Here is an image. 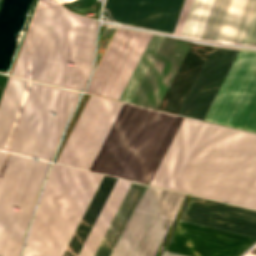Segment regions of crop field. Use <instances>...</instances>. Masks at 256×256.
<instances>
[{
    "instance_id": "obj_16",
    "label": "crop field",
    "mask_w": 256,
    "mask_h": 256,
    "mask_svg": "<svg viewBox=\"0 0 256 256\" xmlns=\"http://www.w3.org/2000/svg\"><path fill=\"white\" fill-rule=\"evenodd\" d=\"M210 49L211 47L191 44L159 107L160 110L178 114Z\"/></svg>"
},
{
    "instance_id": "obj_14",
    "label": "crop field",
    "mask_w": 256,
    "mask_h": 256,
    "mask_svg": "<svg viewBox=\"0 0 256 256\" xmlns=\"http://www.w3.org/2000/svg\"><path fill=\"white\" fill-rule=\"evenodd\" d=\"M182 222L256 238V211L192 197Z\"/></svg>"
},
{
    "instance_id": "obj_12",
    "label": "crop field",
    "mask_w": 256,
    "mask_h": 256,
    "mask_svg": "<svg viewBox=\"0 0 256 256\" xmlns=\"http://www.w3.org/2000/svg\"><path fill=\"white\" fill-rule=\"evenodd\" d=\"M131 182L118 179L79 256H94ZM145 186L132 183L95 256H109Z\"/></svg>"
},
{
    "instance_id": "obj_4",
    "label": "crop field",
    "mask_w": 256,
    "mask_h": 256,
    "mask_svg": "<svg viewBox=\"0 0 256 256\" xmlns=\"http://www.w3.org/2000/svg\"><path fill=\"white\" fill-rule=\"evenodd\" d=\"M214 0H106L109 18L126 24L202 36ZM204 38L256 44V0H215Z\"/></svg>"
},
{
    "instance_id": "obj_11",
    "label": "crop field",
    "mask_w": 256,
    "mask_h": 256,
    "mask_svg": "<svg viewBox=\"0 0 256 256\" xmlns=\"http://www.w3.org/2000/svg\"><path fill=\"white\" fill-rule=\"evenodd\" d=\"M151 37L117 29L86 92L119 100Z\"/></svg>"
},
{
    "instance_id": "obj_2",
    "label": "crop field",
    "mask_w": 256,
    "mask_h": 256,
    "mask_svg": "<svg viewBox=\"0 0 256 256\" xmlns=\"http://www.w3.org/2000/svg\"><path fill=\"white\" fill-rule=\"evenodd\" d=\"M149 185L256 210V134L182 117Z\"/></svg>"
},
{
    "instance_id": "obj_3",
    "label": "crop field",
    "mask_w": 256,
    "mask_h": 256,
    "mask_svg": "<svg viewBox=\"0 0 256 256\" xmlns=\"http://www.w3.org/2000/svg\"><path fill=\"white\" fill-rule=\"evenodd\" d=\"M97 23L54 0H37L11 75L83 91L91 74Z\"/></svg>"
},
{
    "instance_id": "obj_5",
    "label": "crop field",
    "mask_w": 256,
    "mask_h": 256,
    "mask_svg": "<svg viewBox=\"0 0 256 256\" xmlns=\"http://www.w3.org/2000/svg\"><path fill=\"white\" fill-rule=\"evenodd\" d=\"M8 78L0 74V100ZM80 94L10 77L0 103V150L50 161Z\"/></svg>"
},
{
    "instance_id": "obj_1",
    "label": "crop field",
    "mask_w": 256,
    "mask_h": 256,
    "mask_svg": "<svg viewBox=\"0 0 256 256\" xmlns=\"http://www.w3.org/2000/svg\"><path fill=\"white\" fill-rule=\"evenodd\" d=\"M180 119L89 95L55 162L148 184Z\"/></svg>"
},
{
    "instance_id": "obj_19",
    "label": "crop field",
    "mask_w": 256,
    "mask_h": 256,
    "mask_svg": "<svg viewBox=\"0 0 256 256\" xmlns=\"http://www.w3.org/2000/svg\"><path fill=\"white\" fill-rule=\"evenodd\" d=\"M246 256H256V247L253 248Z\"/></svg>"
},
{
    "instance_id": "obj_7",
    "label": "crop field",
    "mask_w": 256,
    "mask_h": 256,
    "mask_svg": "<svg viewBox=\"0 0 256 256\" xmlns=\"http://www.w3.org/2000/svg\"><path fill=\"white\" fill-rule=\"evenodd\" d=\"M0 152V256H20L50 163ZM19 208L20 212L16 211Z\"/></svg>"
},
{
    "instance_id": "obj_13",
    "label": "crop field",
    "mask_w": 256,
    "mask_h": 256,
    "mask_svg": "<svg viewBox=\"0 0 256 256\" xmlns=\"http://www.w3.org/2000/svg\"><path fill=\"white\" fill-rule=\"evenodd\" d=\"M256 239L179 222L165 250L188 256H240Z\"/></svg>"
},
{
    "instance_id": "obj_17",
    "label": "crop field",
    "mask_w": 256,
    "mask_h": 256,
    "mask_svg": "<svg viewBox=\"0 0 256 256\" xmlns=\"http://www.w3.org/2000/svg\"><path fill=\"white\" fill-rule=\"evenodd\" d=\"M117 179L103 176L63 256H78Z\"/></svg>"
},
{
    "instance_id": "obj_6",
    "label": "crop field",
    "mask_w": 256,
    "mask_h": 256,
    "mask_svg": "<svg viewBox=\"0 0 256 256\" xmlns=\"http://www.w3.org/2000/svg\"><path fill=\"white\" fill-rule=\"evenodd\" d=\"M101 178L53 164L23 256H62Z\"/></svg>"
},
{
    "instance_id": "obj_8",
    "label": "crop field",
    "mask_w": 256,
    "mask_h": 256,
    "mask_svg": "<svg viewBox=\"0 0 256 256\" xmlns=\"http://www.w3.org/2000/svg\"><path fill=\"white\" fill-rule=\"evenodd\" d=\"M184 197L146 186L115 248L155 256ZM116 249L111 256H143Z\"/></svg>"
},
{
    "instance_id": "obj_10",
    "label": "crop field",
    "mask_w": 256,
    "mask_h": 256,
    "mask_svg": "<svg viewBox=\"0 0 256 256\" xmlns=\"http://www.w3.org/2000/svg\"><path fill=\"white\" fill-rule=\"evenodd\" d=\"M204 120L256 132V52L239 50Z\"/></svg>"
},
{
    "instance_id": "obj_9",
    "label": "crop field",
    "mask_w": 256,
    "mask_h": 256,
    "mask_svg": "<svg viewBox=\"0 0 256 256\" xmlns=\"http://www.w3.org/2000/svg\"><path fill=\"white\" fill-rule=\"evenodd\" d=\"M189 46L153 35L120 100L158 109Z\"/></svg>"
},
{
    "instance_id": "obj_15",
    "label": "crop field",
    "mask_w": 256,
    "mask_h": 256,
    "mask_svg": "<svg viewBox=\"0 0 256 256\" xmlns=\"http://www.w3.org/2000/svg\"><path fill=\"white\" fill-rule=\"evenodd\" d=\"M238 50L213 47L179 114L203 120Z\"/></svg>"
},
{
    "instance_id": "obj_18",
    "label": "crop field",
    "mask_w": 256,
    "mask_h": 256,
    "mask_svg": "<svg viewBox=\"0 0 256 256\" xmlns=\"http://www.w3.org/2000/svg\"><path fill=\"white\" fill-rule=\"evenodd\" d=\"M162 256H182V255H178V254H174V253L164 251Z\"/></svg>"
}]
</instances>
